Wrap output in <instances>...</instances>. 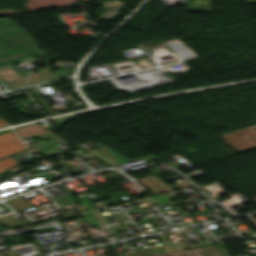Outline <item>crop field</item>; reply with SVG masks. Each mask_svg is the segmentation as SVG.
Wrapping results in <instances>:
<instances>
[{"instance_id":"1","label":"crop field","mask_w":256,"mask_h":256,"mask_svg":"<svg viewBox=\"0 0 256 256\" xmlns=\"http://www.w3.org/2000/svg\"><path fill=\"white\" fill-rule=\"evenodd\" d=\"M42 53L34 41L7 18L0 19V67Z\"/></svg>"},{"instance_id":"2","label":"crop field","mask_w":256,"mask_h":256,"mask_svg":"<svg viewBox=\"0 0 256 256\" xmlns=\"http://www.w3.org/2000/svg\"><path fill=\"white\" fill-rule=\"evenodd\" d=\"M25 148L26 146L18 139L12 130L0 134V158L14 154ZM19 164L21 163L11 157L0 160V172Z\"/></svg>"},{"instance_id":"3","label":"crop field","mask_w":256,"mask_h":256,"mask_svg":"<svg viewBox=\"0 0 256 256\" xmlns=\"http://www.w3.org/2000/svg\"><path fill=\"white\" fill-rule=\"evenodd\" d=\"M221 137L237 153L256 148V125L221 135Z\"/></svg>"},{"instance_id":"4","label":"crop field","mask_w":256,"mask_h":256,"mask_svg":"<svg viewBox=\"0 0 256 256\" xmlns=\"http://www.w3.org/2000/svg\"><path fill=\"white\" fill-rule=\"evenodd\" d=\"M28 72L18 74L10 65L0 68V81L8 88L13 89L25 85Z\"/></svg>"},{"instance_id":"5","label":"crop field","mask_w":256,"mask_h":256,"mask_svg":"<svg viewBox=\"0 0 256 256\" xmlns=\"http://www.w3.org/2000/svg\"><path fill=\"white\" fill-rule=\"evenodd\" d=\"M137 182L154 195L173 191L171 187L166 185L164 182H162L155 176L137 180Z\"/></svg>"},{"instance_id":"6","label":"crop field","mask_w":256,"mask_h":256,"mask_svg":"<svg viewBox=\"0 0 256 256\" xmlns=\"http://www.w3.org/2000/svg\"><path fill=\"white\" fill-rule=\"evenodd\" d=\"M89 154L110 166L128 161L126 158L122 157L121 155H119L118 153H116L115 151L111 150L108 147Z\"/></svg>"},{"instance_id":"7","label":"crop field","mask_w":256,"mask_h":256,"mask_svg":"<svg viewBox=\"0 0 256 256\" xmlns=\"http://www.w3.org/2000/svg\"><path fill=\"white\" fill-rule=\"evenodd\" d=\"M157 256H220L213 246Z\"/></svg>"},{"instance_id":"8","label":"crop field","mask_w":256,"mask_h":256,"mask_svg":"<svg viewBox=\"0 0 256 256\" xmlns=\"http://www.w3.org/2000/svg\"><path fill=\"white\" fill-rule=\"evenodd\" d=\"M15 131L21 138H23L47 130L38 124H33L25 127L16 128Z\"/></svg>"},{"instance_id":"9","label":"crop field","mask_w":256,"mask_h":256,"mask_svg":"<svg viewBox=\"0 0 256 256\" xmlns=\"http://www.w3.org/2000/svg\"><path fill=\"white\" fill-rule=\"evenodd\" d=\"M50 72L48 69H38L37 72L31 74L27 85L50 80Z\"/></svg>"},{"instance_id":"10","label":"crop field","mask_w":256,"mask_h":256,"mask_svg":"<svg viewBox=\"0 0 256 256\" xmlns=\"http://www.w3.org/2000/svg\"><path fill=\"white\" fill-rule=\"evenodd\" d=\"M5 202L13 206L16 212L34 207L32 204L28 203L25 199H22L20 197Z\"/></svg>"},{"instance_id":"11","label":"crop field","mask_w":256,"mask_h":256,"mask_svg":"<svg viewBox=\"0 0 256 256\" xmlns=\"http://www.w3.org/2000/svg\"><path fill=\"white\" fill-rule=\"evenodd\" d=\"M0 224L6 228L16 226V225H21V221L17 218L15 219L11 215L0 217Z\"/></svg>"},{"instance_id":"12","label":"crop field","mask_w":256,"mask_h":256,"mask_svg":"<svg viewBox=\"0 0 256 256\" xmlns=\"http://www.w3.org/2000/svg\"><path fill=\"white\" fill-rule=\"evenodd\" d=\"M30 90V93L32 95H34L33 93L37 94V95H34L36 97V99L40 102V104L46 109V111L50 114H55L51 111V109L47 106V104L42 100V98L38 95V93L34 90L33 87H30L29 88ZM68 110H71V109H68ZM64 111H67V110H64ZM60 112H63V111H60ZM56 113H59V112H56Z\"/></svg>"},{"instance_id":"13","label":"crop field","mask_w":256,"mask_h":256,"mask_svg":"<svg viewBox=\"0 0 256 256\" xmlns=\"http://www.w3.org/2000/svg\"><path fill=\"white\" fill-rule=\"evenodd\" d=\"M6 125H7V123L2 118H0V127L6 126Z\"/></svg>"},{"instance_id":"14","label":"crop field","mask_w":256,"mask_h":256,"mask_svg":"<svg viewBox=\"0 0 256 256\" xmlns=\"http://www.w3.org/2000/svg\"><path fill=\"white\" fill-rule=\"evenodd\" d=\"M247 3H256V0H246Z\"/></svg>"},{"instance_id":"15","label":"crop field","mask_w":256,"mask_h":256,"mask_svg":"<svg viewBox=\"0 0 256 256\" xmlns=\"http://www.w3.org/2000/svg\"><path fill=\"white\" fill-rule=\"evenodd\" d=\"M4 132H6V131H4ZM0 133H3V132H0Z\"/></svg>"}]
</instances>
